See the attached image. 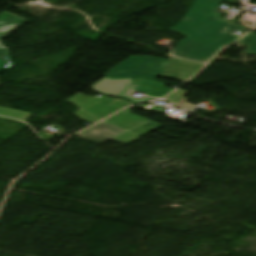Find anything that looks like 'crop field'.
I'll use <instances>...</instances> for the list:
<instances>
[{"mask_svg": "<svg viewBox=\"0 0 256 256\" xmlns=\"http://www.w3.org/2000/svg\"><path fill=\"white\" fill-rule=\"evenodd\" d=\"M23 21L25 20L15 17L11 14L4 13L0 17V38L21 24ZM7 57V49L0 45V71L9 65V63L4 60Z\"/></svg>", "mask_w": 256, "mask_h": 256, "instance_id": "crop-field-4", "label": "crop field"}, {"mask_svg": "<svg viewBox=\"0 0 256 256\" xmlns=\"http://www.w3.org/2000/svg\"><path fill=\"white\" fill-rule=\"evenodd\" d=\"M222 1L194 0L185 19L168 29L186 36L173 49V56L208 62L222 46L238 39L235 30L245 33L241 26L221 19L217 8Z\"/></svg>", "mask_w": 256, "mask_h": 256, "instance_id": "crop-field-1", "label": "crop field"}, {"mask_svg": "<svg viewBox=\"0 0 256 256\" xmlns=\"http://www.w3.org/2000/svg\"><path fill=\"white\" fill-rule=\"evenodd\" d=\"M0 115L26 121L32 114L0 107Z\"/></svg>", "mask_w": 256, "mask_h": 256, "instance_id": "crop-field-5", "label": "crop field"}, {"mask_svg": "<svg viewBox=\"0 0 256 256\" xmlns=\"http://www.w3.org/2000/svg\"><path fill=\"white\" fill-rule=\"evenodd\" d=\"M166 63L167 60L162 58L131 56L104 75L110 78L146 77L156 80Z\"/></svg>", "mask_w": 256, "mask_h": 256, "instance_id": "crop-field-2", "label": "crop field"}, {"mask_svg": "<svg viewBox=\"0 0 256 256\" xmlns=\"http://www.w3.org/2000/svg\"><path fill=\"white\" fill-rule=\"evenodd\" d=\"M189 100H190V99H186V100L180 102L179 104L183 105L182 108H184V109H186V110H191V109H193L195 106H193V105L187 103Z\"/></svg>", "mask_w": 256, "mask_h": 256, "instance_id": "crop-field-7", "label": "crop field"}, {"mask_svg": "<svg viewBox=\"0 0 256 256\" xmlns=\"http://www.w3.org/2000/svg\"><path fill=\"white\" fill-rule=\"evenodd\" d=\"M131 111L132 109L130 108L124 110L105 122L116 125L140 136H143L162 126L145 118L138 117L130 113Z\"/></svg>", "mask_w": 256, "mask_h": 256, "instance_id": "crop-field-3", "label": "crop field"}, {"mask_svg": "<svg viewBox=\"0 0 256 256\" xmlns=\"http://www.w3.org/2000/svg\"><path fill=\"white\" fill-rule=\"evenodd\" d=\"M252 35H254L253 38L246 46L245 44L249 41V39L251 38ZM238 43H239V45L247 47L246 53L256 54V34H253L251 32V33L247 34L246 36H244L242 40L238 41Z\"/></svg>", "mask_w": 256, "mask_h": 256, "instance_id": "crop-field-6", "label": "crop field"}]
</instances>
